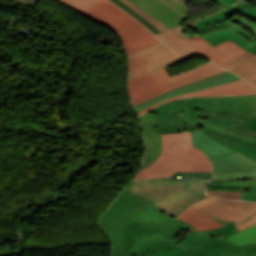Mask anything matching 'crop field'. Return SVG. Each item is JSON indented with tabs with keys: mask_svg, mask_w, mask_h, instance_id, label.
<instances>
[{
	"mask_svg": "<svg viewBox=\"0 0 256 256\" xmlns=\"http://www.w3.org/2000/svg\"><path fill=\"white\" fill-rule=\"evenodd\" d=\"M57 1L110 27L118 34L128 54L161 43L138 21L109 0Z\"/></svg>",
	"mask_w": 256,
	"mask_h": 256,
	"instance_id": "1",
	"label": "crop field"
},
{
	"mask_svg": "<svg viewBox=\"0 0 256 256\" xmlns=\"http://www.w3.org/2000/svg\"><path fill=\"white\" fill-rule=\"evenodd\" d=\"M207 182L171 179L131 181L125 189L150 201L157 209L175 218L189 205L204 199Z\"/></svg>",
	"mask_w": 256,
	"mask_h": 256,
	"instance_id": "2",
	"label": "crop field"
},
{
	"mask_svg": "<svg viewBox=\"0 0 256 256\" xmlns=\"http://www.w3.org/2000/svg\"><path fill=\"white\" fill-rule=\"evenodd\" d=\"M163 152L134 179L169 177L176 172H212L207 156L193 147L189 132L163 134Z\"/></svg>",
	"mask_w": 256,
	"mask_h": 256,
	"instance_id": "3",
	"label": "crop field"
},
{
	"mask_svg": "<svg viewBox=\"0 0 256 256\" xmlns=\"http://www.w3.org/2000/svg\"><path fill=\"white\" fill-rule=\"evenodd\" d=\"M215 1L220 6H232L220 9L221 12H216L213 16L195 21L192 29L214 46L230 39L249 52L256 46V40L226 19L239 13L256 22V6L249 3L238 4L236 0Z\"/></svg>",
	"mask_w": 256,
	"mask_h": 256,
	"instance_id": "4",
	"label": "crop field"
},
{
	"mask_svg": "<svg viewBox=\"0 0 256 256\" xmlns=\"http://www.w3.org/2000/svg\"><path fill=\"white\" fill-rule=\"evenodd\" d=\"M225 71L206 62L190 71L171 76L166 69L129 81L132 106L177 87ZM144 85V87H142Z\"/></svg>",
	"mask_w": 256,
	"mask_h": 256,
	"instance_id": "5",
	"label": "crop field"
},
{
	"mask_svg": "<svg viewBox=\"0 0 256 256\" xmlns=\"http://www.w3.org/2000/svg\"><path fill=\"white\" fill-rule=\"evenodd\" d=\"M156 36L185 59L200 54L223 67L248 53L230 40L214 47L200 36L184 42L170 29Z\"/></svg>",
	"mask_w": 256,
	"mask_h": 256,
	"instance_id": "6",
	"label": "crop field"
},
{
	"mask_svg": "<svg viewBox=\"0 0 256 256\" xmlns=\"http://www.w3.org/2000/svg\"><path fill=\"white\" fill-rule=\"evenodd\" d=\"M194 230L186 223L158 211L151 204L141 209L126 225L123 234V256L137 239L152 233H172Z\"/></svg>",
	"mask_w": 256,
	"mask_h": 256,
	"instance_id": "7",
	"label": "crop field"
},
{
	"mask_svg": "<svg viewBox=\"0 0 256 256\" xmlns=\"http://www.w3.org/2000/svg\"><path fill=\"white\" fill-rule=\"evenodd\" d=\"M147 204L149 202L124 189L100 219V227L112 243L110 256H122V233L124 226Z\"/></svg>",
	"mask_w": 256,
	"mask_h": 256,
	"instance_id": "8",
	"label": "crop field"
},
{
	"mask_svg": "<svg viewBox=\"0 0 256 256\" xmlns=\"http://www.w3.org/2000/svg\"><path fill=\"white\" fill-rule=\"evenodd\" d=\"M200 129L230 147L238 151L242 146L248 144L256 146V131L235 123L220 122L199 116Z\"/></svg>",
	"mask_w": 256,
	"mask_h": 256,
	"instance_id": "9",
	"label": "crop field"
},
{
	"mask_svg": "<svg viewBox=\"0 0 256 256\" xmlns=\"http://www.w3.org/2000/svg\"><path fill=\"white\" fill-rule=\"evenodd\" d=\"M193 109L212 113H237L250 120L256 115V95L191 98Z\"/></svg>",
	"mask_w": 256,
	"mask_h": 256,
	"instance_id": "10",
	"label": "crop field"
},
{
	"mask_svg": "<svg viewBox=\"0 0 256 256\" xmlns=\"http://www.w3.org/2000/svg\"><path fill=\"white\" fill-rule=\"evenodd\" d=\"M191 206L225 225L232 221L237 231L256 224V207L244 212L222 206L207 198Z\"/></svg>",
	"mask_w": 256,
	"mask_h": 256,
	"instance_id": "11",
	"label": "crop field"
},
{
	"mask_svg": "<svg viewBox=\"0 0 256 256\" xmlns=\"http://www.w3.org/2000/svg\"><path fill=\"white\" fill-rule=\"evenodd\" d=\"M168 26H173L187 17V8L178 0H133Z\"/></svg>",
	"mask_w": 256,
	"mask_h": 256,
	"instance_id": "12",
	"label": "crop field"
},
{
	"mask_svg": "<svg viewBox=\"0 0 256 256\" xmlns=\"http://www.w3.org/2000/svg\"><path fill=\"white\" fill-rule=\"evenodd\" d=\"M190 256H256V244L233 247L226 236L209 238L199 244Z\"/></svg>",
	"mask_w": 256,
	"mask_h": 256,
	"instance_id": "13",
	"label": "crop field"
},
{
	"mask_svg": "<svg viewBox=\"0 0 256 256\" xmlns=\"http://www.w3.org/2000/svg\"><path fill=\"white\" fill-rule=\"evenodd\" d=\"M253 93H256V89L253 86H251L248 82L241 79V80L213 86V87H210V88H207L204 90H200L197 92L182 94L179 96H175V97L160 101V102L150 106L147 109L137 112V115H140V114L150 110L154 106L161 104L163 102L180 99V98H184V97H189V96L237 95V94H253Z\"/></svg>",
	"mask_w": 256,
	"mask_h": 256,
	"instance_id": "14",
	"label": "crop field"
},
{
	"mask_svg": "<svg viewBox=\"0 0 256 256\" xmlns=\"http://www.w3.org/2000/svg\"><path fill=\"white\" fill-rule=\"evenodd\" d=\"M192 109L190 98L162 104L149 112L158 113L155 124L159 134L180 132L173 121V113Z\"/></svg>",
	"mask_w": 256,
	"mask_h": 256,
	"instance_id": "15",
	"label": "crop field"
},
{
	"mask_svg": "<svg viewBox=\"0 0 256 256\" xmlns=\"http://www.w3.org/2000/svg\"><path fill=\"white\" fill-rule=\"evenodd\" d=\"M236 232L232 223H229L223 228L214 229L210 231H199V232H190L179 244L158 246L152 249L147 250L141 256H149L151 253L161 250L174 249L179 247H185L189 255L196 249L197 245L205 240L206 238L217 236V235H227Z\"/></svg>",
	"mask_w": 256,
	"mask_h": 256,
	"instance_id": "16",
	"label": "crop field"
},
{
	"mask_svg": "<svg viewBox=\"0 0 256 256\" xmlns=\"http://www.w3.org/2000/svg\"><path fill=\"white\" fill-rule=\"evenodd\" d=\"M156 114L146 113L140 116V122L143 128L144 140L146 145V154L141 169L147 167L159 155L161 150V137L157 134L154 124ZM150 128V129H148ZM140 169V170H141Z\"/></svg>",
	"mask_w": 256,
	"mask_h": 256,
	"instance_id": "17",
	"label": "crop field"
},
{
	"mask_svg": "<svg viewBox=\"0 0 256 256\" xmlns=\"http://www.w3.org/2000/svg\"><path fill=\"white\" fill-rule=\"evenodd\" d=\"M122 9L127 11L129 14L134 16L140 22H142L148 29H150L154 34L169 28L162 21L157 19L151 13H149L144 8L140 7L131 0H111Z\"/></svg>",
	"mask_w": 256,
	"mask_h": 256,
	"instance_id": "18",
	"label": "crop field"
},
{
	"mask_svg": "<svg viewBox=\"0 0 256 256\" xmlns=\"http://www.w3.org/2000/svg\"><path fill=\"white\" fill-rule=\"evenodd\" d=\"M190 135L194 142V147L204 152L209 160L227 155L233 150L226 147L222 143L203 133L202 131L195 129L190 131Z\"/></svg>",
	"mask_w": 256,
	"mask_h": 256,
	"instance_id": "19",
	"label": "crop field"
},
{
	"mask_svg": "<svg viewBox=\"0 0 256 256\" xmlns=\"http://www.w3.org/2000/svg\"><path fill=\"white\" fill-rule=\"evenodd\" d=\"M225 68L256 86V56L248 53Z\"/></svg>",
	"mask_w": 256,
	"mask_h": 256,
	"instance_id": "20",
	"label": "crop field"
},
{
	"mask_svg": "<svg viewBox=\"0 0 256 256\" xmlns=\"http://www.w3.org/2000/svg\"><path fill=\"white\" fill-rule=\"evenodd\" d=\"M206 215V214H205ZM193 207L189 206L179 218L193 226L197 231L210 230L224 226L223 224L205 216Z\"/></svg>",
	"mask_w": 256,
	"mask_h": 256,
	"instance_id": "21",
	"label": "crop field"
},
{
	"mask_svg": "<svg viewBox=\"0 0 256 256\" xmlns=\"http://www.w3.org/2000/svg\"><path fill=\"white\" fill-rule=\"evenodd\" d=\"M179 233L164 235L155 234L152 236L144 237L135 244L128 256H140L148 248L158 245L179 243V241L175 238Z\"/></svg>",
	"mask_w": 256,
	"mask_h": 256,
	"instance_id": "22",
	"label": "crop field"
},
{
	"mask_svg": "<svg viewBox=\"0 0 256 256\" xmlns=\"http://www.w3.org/2000/svg\"><path fill=\"white\" fill-rule=\"evenodd\" d=\"M174 56H177V54H175L172 50L167 48L144 56L137 57L129 61V72L161 62Z\"/></svg>",
	"mask_w": 256,
	"mask_h": 256,
	"instance_id": "23",
	"label": "crop field"
},
{
	"mask_svg": "<svg viewBox=\"0 0 256 256\" xmlns=\"http://www.w3.org/2000/svg\"><path fill=\"white\" fill-rule=\"evenodd\" d=\"M243 163L251 170L246 172H236V173H213V180H245V179H255L256 178V161L238 153L234 152Z\"/></svg>",
	"mask_w": 256,
	"mask_h": 256,
	"instance_id": "24",
	"label": "crop field"
},
{
	"mask_svg": "<svg viewBox=\"0 0 256 256\" xmlns=\"http://www.w3.org/2000/svg\"><path fill=\"white\" fill-rule=\"evenodd\" d=\"M214 172H235L249 170L234 154L212 161Z\"/></svg>",
	"mask_w": 256,
	"mask_h": 256,
	"instance_id": "25",
	"label": "crop field"
},
{
	"mask_svg": "<svg viewBox=\"0 0 256 256\" xmlns=\"http://www.w3.org/2000/svg\"><path fill=\"white\" fill-rule=\"evenodd\" d=\"M174 121L181 132L190 131L200 127L196 110L175 113Z\"/></svg>",
	"mask_w": 256,
	"mask_h": 256,
	"instance_id": "26",
	"label": "crop field"
},
{
	"mask_svg": "<svg viewBox=\"0 0 256 256\" xmlns=\"http://www.w3.org/2000/svg\"><path fill=\"white\" fill-rule=\"evenodd\" d=\"M237 79H241L235 75L231 76V77H227V78H222V79H219V80H216L214 82H210V83H206V84H203V85H199V86H196V87H191V88H187L185 90H181V91H178V92H175V93H172L170 95H167L165 97H162L158 100H155L153 102H150V103H147L137 109H135V112L138 111V110H141V109H144V108H147L149 107L151 104L153 103H156L160 100H163V99H166V98H169V97H172V96H175V95H179V94H182V93H186V92H192V91H197V90H200V89H203V88H207V87H210V86H213V85H217V84H221V83H225V82H229V81H233V80H237Z\"/></svg>",
	"mask_w": 256,
	"mask_h": 256,
	"instance_id": "27",
	"label": "crop field"
},
{
	"mask_svg": "<svg viewBox=\"0 0 256 256\" xmlns=\"http://www.w3.org/2000/svg\"><path fill=\"white\" fill-rule=\"evenodd\" d=\"M198 115L220 120V121H228V122H235L238 124H241L243 126L248 127L250 120L236 114H212V113H207L203 111L198 110Z\"/></svg>",
	"mask_w": 256,
	"mask_h": 256,
	"instance_id": "28",
	"label": "crop field"
},
{
	"mask_svg": "<svg viewBox=\"0 0 256 256\" xmlns=\"http://www.w3.org/2000/svg\"><path fill=\"white\" fill-rule=\"evenodd\" d=\"M180 61H182V59L179 56H177V57H174L172 59L163 61L161 63L155 64V65H152V66H149V67H146V68L134 71V72H131V73H129V79L161 70L162 68H165L169 65L175 64V63L180 62Z\"/></svg>",
	"mask_w": 256,
	"mask_h": 256,
	"instance_id": "29",
	"label": "crop field"
},
{
	"mask_svg": "<svg viewBox=\"0 0 256 256\" xmlns=\"http://www.w3.org/2000/svg\"><path fill=\"white\" fill-rule=\"evenodd\" d=\"M238 152L256 160V147H250L248 145L242 147ZM222 185H235V186H243V185H256L255 180H246V181H222ZM256 192L251 193H243V194H253Z\"/></svg>",
	"mask_w": 256,
	"mask_h": 256,
	"instance_id": "30",
	"label": "crop field"
},
{
	"mask_svg": "<svg viewBox=\"0 0 256 256\" xmlns=\"http://www.w3.org/2000/svg\"><path fill=\"white\" fill-rule=\"evenodd\" d=\"M231 75H233V74L230 73V72H228V71L222 72V73H220V74L211 76V77H209V78H206V79H203V80L194 82V83H192V84H189V85H186V86L177 88V89H175V90L169 91V92L164 93V94H162V95H159V96H157V97H154V98H151V99H149V100H146V101H144V102H142V103H140V104L134 106L133 109L136 108V107H138V106H140V105H142V104H145V103H147V102H150V101H152V100H155V99H157V98H159V97H162V96H164V95H167V94H169V93H172V92H174V91H177V90H180V89H185V88H187V87L199 85V84H202V83L214 81V80H216V79H219V78H222V77H226V76H231Z\"/></svg>",
	"mask_w": 256,
	"mask_h": 256,
	"instance_id": "31",
	"label": "crop field"
},
{
	"mask_svg": "<svg viewBox=\"0 0 256 256\" xmlns=\"http://www.w3.org/2000/svg\"><path fill=\"white\" fill-rule=\"evenodd\" d=\"M208 198L222 204L225 206H229L232 208H236V209H240V210H244L247 211L253 207L256 206V203H245V202H235V201H229V200H224V199H220V198H216L213 196H209L207 195Z\"/></svg>",
	"mask_w": 256,
	"mask_h": 256,
	"instance_id": "32",
	"label": "crop field"
},
{
	"mask_svg": "<svg viewBox=\"0 0 256 256\" xmlns=\"http://www.w3.org/2000/svg\"><path fill=\"white\" fill-rule=\"evenodd\" d=\"M150 256H189L185 248L156 252Z\"/></svg>",
	"mask_w": 256,
	"mask_h": 256,
	"instance_id": "33",
	"label": "crop field"
},
{
	"mask_svg": "<svg viewBox=\"0 0 256 256\" xmlns=\"http://www.w3.org/2000/svg\"><path fill=\"white\" fill-rule=\"evenodd\" d=\"M209 194L223 197L225 199L241 200V192L206 191Z\"/></svg>",
	"mask_w": 256,
	"mask_h": 256,
	"instance_id": "34",
	"label": "crop field"
},
{
	"mask_svg": "<svg viewBox=\"0 0 256 256\" xmlns=\"http://www.w3.org/2000/svg\"><path fill=\"white\" fill-rule=\"evenodd\" d=\"M233 237L234 239L256 237V225L234 234Z\"/></svg>",
	"mask_w": 256,
	"mask_h": 256,
	"instance_id": "35",
	"label": "crop field"
},
{
	"mask_svg": "<svg viewBox=\"0 0 256 256\" xmlns=\"http://www.w3.org/2000/svg\"><path fill=\"white\" fill-rule=\"evenodd\" d=\"M163 48H167V46H165L163 43H161V44H158L156 46L150 47L148 49L141 50V51H139L137 53L129 54L128 58L130 60V59L135 58L137 56L144 55V54H147V53L159 50V49H163Z\"/></svg>",
	"mask_w": 256,
	"mask_h": 256,
	"instance_id": "36",
	"label": "crop field"
},
{
	"mask_svg": "<svg viewBox=\"0 0 256 256\" xmlns=\"http://www.w3.org/2000/svg\"><path fill=\"white\" fill-rule=\"evenodd\" d=\"M233 246H245L256 243V238H247L241 240H233L232 235L227 236Z\"/></svg>",
	"mask_w": 256,
	"mask_h": 256,
	"instance_id": "37",
	"label": "crop field"
},
{
	"mask_svg": "<svg viewBox=\"0 0 256 256\" xmlns=\"http://www.w3.org/2000/svg\"><path fill=\"white\" fill-rule=\"evenodd\" d=\"M233 21H238L239 23H241L244 27H246L247 29H250L256 36V25L250 23L247 20L241 19L239 17H236ZM256 39V38H255ZM252 53H254L256 55V47L251 50Z\"/></svg>",
	"mask_w": 256,
	"mask_h": 256,
	"instance_id": "38",
	"label": "crop field"
},
{
	"mask_svg": "<svg viewBox=\"0 0 256 256\" xmlns=\"http://www.w3.org/2000/svg\"><path fill=\"white\" fill-rule=\"evenodd\" d=\"M206 190L241 191V187H235V186H208Z\"/></svg>",
	"mask_w": 256,
	"mask_h": 256,
	"instance_id": "39",
	"label": "crop field"
},
{
	"mask_svg": "<svg viewBox=\"0 0 256 256\" xmlns=\"http://www.w3.org/2000/svg\"><path fill=\"white\" fill-rule=\"evenodd\" d=\"M172 31H174L180 38H182L184 41L187 40L188 38L186 36H184L181 31H182V27L177 25L173 28H171Z\"/></svg>",
	"mask_w": 256,
	"mask_h": 256,
	"instance_id": "40",
	"label": "crop field"
},
{
	"mask_svg": "<svg viewBox=\"0 0 256 256\" xmlns=\"http://www.w3.org/2000/svg\"><path fill=\"white\" fill-rule=\"evenodd\" d=\"M243 200L256 201V194H254V195H243Z\"/></svg>",
	"mask_w": 256,
	"mask_h": 256,
	"instance_id": "41",
	"label": "crop field"
},
{
	"mask_svg": "<svg viewBox=\"0 0 256 256\" xmlns=\"http://www.w3.org/2000/svg\"><path fill=\"white\" fill-rule=\"evenodd\" d=\"M249 129H253L256 130V116H254L253 120L251 121L249 127Z\"/></svg>",
	"mask_w": 256,
	"mask_h": 256,
	"instance_id": "42",
	"label": "crop field"
},
{
	"mask_svg": "<svg viewBox=\"0 0 256 256\" xmlns=\"http://www.w3.org/2000/svg\"><path fill=\"white\" fill-rule=\"evenodd\" d=\"M243 192H251V191H256V186L253 187H243L242 188Z\"/></svg>",
	"mask_w": 256,
	"mask_h": 256,
	"instance_id": "43",
	"label": "crop field"
},
{
	"mask_svg": "<svg viewBox=\"0 0 256 256\" xmlns=\"http://www.w3.org/2000/svg\"><path fill=\"white\" fill-rule=\"evenodd\" d=\"M211 185H221V181H212Z\"/></svg>",
	"mask_w": 256,
	"mask_h": 256,
	"instance_id": "44",
	"label": "crop field"
},
{
	"mask_svg": "<svg viewBox=\"0 0 256 256\" xmlns=\"http://www.w3.org/2000/svg\"><path fill=\"white\" fill-rule=\"evenodd\" d=\"M180 1H182L186 4V3L190 2L191 0H180Z\"/></svg>",
	"mask_w": 256,
	"mask_h": 256,
	"instance_id": "45",
	"label": "crop field"
}]
</instances>
